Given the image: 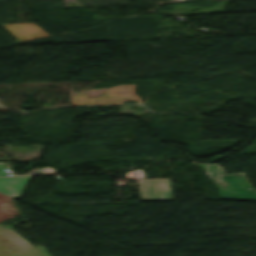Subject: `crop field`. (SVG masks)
I'll use <instances>...</instances> for the list:
<instances>
[{
	"label": "crop field",
	"instance_id": "2",
	"mask_svg": "<svg viewBox=\"0 0 256 256\" xmlns=\"http://www.w3.org/2000/svg\"><path fill=\"white\" fill-rule=\"evenodd\" d=\"M25 220L27 218L8 227L0 225V256H49L43 245L35 248L10 229Z\"/></svg>",
	"mask_w": 256,
	"mask_h": 256
},
{
	"label": "crop field",
	"instance_id": "6",
	"mask_svg": "<svg viewBox=\"0 0 256 256\" xmlns=\"http://www.w3.org/2000/svg\"><path fill=\"white\" fill-rule=\"evenodd\" d=\"M11 201L12 200L10 198L0 194V205L6 204ZM10 218H12V217L0 210V222L5 221Z\"/></svg>",
	"mask_w": 256,
	"mask_h": 256
},
{
	"label": "crop field",
	"instance_id": "4",
	"mask_svg": "<svg viewBox=\"0 0 256 256\" xmlns=\"http://www.w3.org/2000/svg\"><path fill=\"white\" fill-rule=\"evenodd\" d=\"M2 26L20 41L49 35L34 23L3 24Z\"/></svg>",
	"mask_w": 256,
	"mask_h": 256
},
{
	"label": "crop field",
	"instance_id": "1",
	"mask_svg": "<svg viewBox=\"0 0 256 256\" xmlns=\"http://www.w3.org/2000/svg\"><path fill=\"white\" fill-rule=\"evenodd\" d=\"M200 166L218 186L219 198L256 200V191L252 190L242 174L224 176L220 168L214 164L200 163Z\"/></svg>",
	"mask_w": 256,
	"mask_h": 256
},
{
	"label": "crop field",
	"instance_id": "5",
	"mask_svg": "<svg viewBox=\"0 0 256 256\" xmlns=\"http://www.w3.org/2000/svg\"><path fill=\"white\" fill-rule=\"evenodd\" d=\"M0 209L13 217L20 214L15 205L13 204V202L1 206Z\"/></svg>",
	"mask_w": 256,
	"mask_h": 256
},
{
	"label": "crop field",
	"instance_id": "7",
	"mask_svg": "<svg viewBox=\"0 0 256 256\" xmlns=\"http://www.w3.org/2000/svg\"><path fill=\"white\" fill-rule=\"evenodd\" d=\"M0 110H4V109H0Z\"/></svg>",
	"mask_w": 256,
	"mask_h": 256
},
{
	"label": "crop field",
	"instance_id": "3",
	"mask_svg": "<svg viewBox=\"0 0 256 256\" xmlns=\"http://www.w3.org/2000/svg\"><path fill=\"white\" fill-rule=\"evenodd\" d=\"M100 97L87 98L85 93H79L73 96L70 100L72 105H87V104H116L122 103L126 100L136 99L138 103L141 102L139 97L134 94V85H122L109 88L105 94Z\"/></svg>",
	"mask_w": 256,
	"mask_h": 256
}]
</instances>
